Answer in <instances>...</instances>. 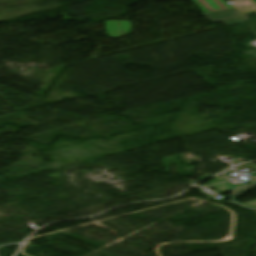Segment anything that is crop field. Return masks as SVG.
<instances>
[{
	"label": "crop field",
	"instance_id": "1",
	"mask_svg": "<svg viewBox=\"0 0 256 256\" xmlns=\"http://www.w3.org/2000/svg\"><path fill=\"white\" fill-rule=\"evenodd\" d=\"M205 17L212 22L219 21L227 26L248 21L247 15L241 13L237 9L207 14Z\"/></svg>",
	"mask_w": 256,
	"mask_h": 256
},
{
	"label": "crop field",
	"instance_id": "2",
	"mask_svg": "<svg viewBox=\"0 0 256 256\" xmlns=\"http://www.w3.org/2000/svg\"><path fill=\"white\" fill-rule=\"evenodd\" d=\"M105 26L107 36L114 39L121 38L132 30L129 21H106Z\"/></svg>",
	"mask_w": 256,
	"mask_h": 256
},
{
	"label": "crop field",
	"instance_id": "3",
	"mask_svg": "<svg viewBox=\"0 0 256 256\" xmlns=\"http://www.w3.org/2000/svg\"><path fill=\"white\" fill-rule=\"evenodd\" d=\"M196 5L200 7L202 13L217 11L221 9L231 8L232 6L226 4L223 0H192ZM204 4V6H200Z\"/></svg>",
	"mask_w": 256,
	"mask_h": 256
},
{
	"label": "crop field",
	"instance_id": "4",
	"mask_svg": "<svg viewBox=\"0 0 256 256\" xmlns=\"http://www.w3.org/2000/svg\"><path fill=\"white\" fill-rule=\"evenodd\" d=\"M252 177H253L252 180L246 181L244 184H240V185H233V184H230L227 182V183H223V184L211 185L208 187H217L221 191H224V192L232 191L233 192L232 194H235L239 191H244V190L256 185V173L252 174Z\"/></svg>",
	"mask_w": 256,
	"mask_h": 256
},
{
	"label": "crop field",
	"instance_id": "5",
	"mask_svg": "<svg viewBox=\"0 0 256 256\" xmlns=\"http://www.w3.org/2000/svg\"><path fill=\"white\" fill-rule=\"evenodd\" d=\"M242 204L246 205L248 207H251L253 209H256V200L255 201L246 202V203H242Z\"/></svg>",
	"mask_w": 256,
	"mask_h": 256
}]
</instances>
